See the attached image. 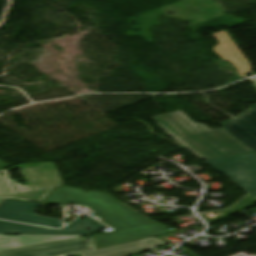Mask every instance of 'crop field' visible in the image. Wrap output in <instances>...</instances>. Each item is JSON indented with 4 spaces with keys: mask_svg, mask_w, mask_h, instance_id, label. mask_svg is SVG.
<instances>
[{
    "mask_svg": "<svg viewBox=\"0 0 256 256\" xmlns=\"http://www.w3.org/2000/svg\"><path fill=\"white\" fill-rule=\"evenodd\" d=\"M84 236H54V235H0V250L30 246L42 243L74 239Z\"/></svg>",
    "mask_w": 256,
    "mask_h": 256,
    "instance_id": "crop-field-10",
    "label": "crop field"
},
{
    "mask_svg": "<svg viewBox=\"0 0 256 256\" xmlns=\"http://www.w3.org/2000/svg\"><path fill=\"white\" fill-rule=\"evenodd\" d=\"M43 203H75L95 211L94 218L116 230L95 236L96 249L171 232L147 220L103 192H85L60 186L53 190Z\"/></svg>",
    "mask_w": 256,
    "mask_h": 256,
    "instance_id": "crop-field-1",
    "label": "crop field"
},
{
    "mask_svg": "<svg viewBox=\"0 0 256 256\" xmlns=\"http://www.w3.org/2000/svg\"><path fill=\"white\" fill-rule=\"evenodd\" d=\"M168 244L162 240H159L155 237L143 239L119 246H114L102 250H98L97 252L100 253L102 256H126L135 252H139L148 248L160 246Z\"/></svg>",
    "mask_w": 256,
    "mask_h": 256,
    "instance_id": "crop-field-11",
    "label": "crop field"
},
{
    "mask_svg": "<svg viewBox=\"0 0 256 256\" xmlns=\"http://www.w3.org/2000/svg\"><path fill=\"white\" fill-rule=\"evenodd\" d=\"M80 256H101V255L98 254L96 251H93V252L81 254Z\"/></svg>",
    "mask_w": 256,
    "mask_h": 256,
    "instance_id": "crop-field-12",
    "label": "crop field"
},
{
    "mask_svg": "<svg viewBox=\"0 0 256 256\" xmlns=\"http://www.w3.org/2000/svg\"><path fill=\"white\" fill-rule=\"evenodd\" d=\"M224 129L256 154V105L224 124Z\"/></svg>",
    "mask_w": 256,
    "mask_h": 256,
    "instance_id": "crop-field-8",
    "label": "crop field"
},
{
    "mask_svg": "<svg viewBox=\"0 0 256 256\" xmlns=\"http://www.w3.org/2000/svg\"><path fill=\"white\" fill-rule=\"evenodd\" d=\"M38 204L5 199L0 205V219L60 228L63 225L61 220L36 216L35 210Z\"/></svg>",
    "mask_w": 256,
    "mask_h": 256,
    "instance_id": "crop-field-7",
    "label": "crop field"
},
{
    "mask_svg": "<svg viewBox=\"0 0 256 256\" xmlns=\"http://www.w3.org/2000/svg\"><path fill=\"white\" fill-rule=\"evenodd\" d=\"M106 226L87 217L77 219L61 231L43 229L0 221V234H54V235H88ZM91 228L90 231H87Z\"/></svg>",
    "mask_w": 256,
    "mask_h": 256,
    "instance_id": "crop-field-6",
    "label": "crop field"
},
{
    "mask_svg": "<svg viewBox=\"0 0 256 256\" xmlns=\"http://www.w3.org/2000/svg\"><path fill=\"white\" fill-rule=\"evenodd\" d=\"M95 249L93 238H81L0 251V256H67Z\"/></svg>",
    "mask_w": 256,
    "mask_h": 256,
    "instance_id": "crop-field-5",
    "label": "crop field"
},
{
    "mask_svg": "<svg viewBox=\"0 0 256 256\" xmlns=\"http://www.w3.org/2000/svg\"><path fill=\"white\" fill-rule=\"evenodd\" d=\"M186 137H188V136H186ZM186 137H183V138H186ZM183 138H180V139H183ZM180 139H175V140L178 141V140H180Z\"/></svg>",
    "mask_w": 256,
    "mask_h": 256,
    "instance_id": "crop-field-15",
    "label": "crop field"
},
{
    "mask_svg": "<svg viewBox=\"0 0 256 256\" xmlns=\"http://www.w3.org/2000/svg\"><path fill=\"white\" fill-rule=\"evenodd\" d=\"M20 168L27 186L21 187L16 180H11L8 171ZM0 174V204L5 198L42 202L57 186L62 185L54 163L24 164L1 170Z\"/></svg>",
    "mask_w": 256,
    "mask_h": 256,
    "instance_id": "crop-field-3",
    "label": "crop field"
},
{
    "mask_svg": "<svg viewBox=\"0 0 256 256\" xmlns=\"http://www.w3.org/2000/svg\"><path fill=\"white\" fill-rule=\"evenodd\" d=\"M204 163L216 172L224 174L256 198V155L254 153L206 160Z\"/></svg>",
    "mask_w": 256,
    "mask_h": 256,
    "instance_id": "crop-field-4",
    "label": "crop field"
},
{
    "mask_svg": "<svg viewBox=\"0 0 256 256\" xmlns=\"http://www.w3.org/2000/svg\"><path fill=\"white\" fill-rule=\"evenodd\" d=\"M152 119L172 138L189 135L190 137L178 142L201 160L251 152L223 128L204 132L181 111Z\"/></svg>",
    "mask_w": 256,
    "mask_h": 256,
    "instance_id": "crop-field-2",
    "label": "crop field"
},
{
    "mask_svg": "<svg viewBox=\"0 0 256 256\" xmlns=\"http://www.w3.org/2000/svg\"><path fill=\"white\" fill-rule=\"evenodd\" d=\"M6 167H9L7 164H5L3 161L0 160V170L4 169Z\"/></svg>",
    "mask_w": 256,
    "mask_h": 256,
    "instance_id": "crop-field-13",
    "label": "crop field"
},
{
    "mask_svg": "<svg viewBox=\"0 0 256 256\" xmlns=\"http://www.w3.org/2000/svg\"><path fill=\"white\" fill-rule=\"evenodd\" d=\"M251 82H252V84H253L254 88L256 89V84H255V82H254V80H253V79L251 80Z\"/></svg>",
    "mask_w": 256,
    "mask_h": 256,
    "instance_id": "crop-field-14",
    "label": "crop field"
},
{
    "mask_svg": "<svg viewBox=\"0 0 256 256\" xmlns=\"http://www.w3.org/2000/svg\"><path fill=\"white\" fill-rule=\"evenodd\" d=\"M216 40L221 41L214 47L213 51L220 55L225 61L233 63L242 77H245L246 73L251 72V66L248 59L242 53V51L231 40L226 31L213 34Z\"/></svg>",
    "mask_w": 256,
    "mask_h": 256,
    "instance_id": "crop-field-9",
    "label": "crop field"
}]
</instances>
